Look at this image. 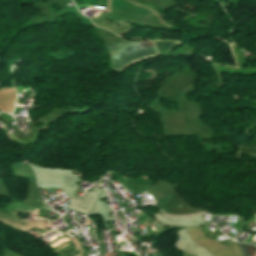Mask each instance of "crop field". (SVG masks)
I'll return each mask as SVG.
<instances>
[{
  "label": "crop field",
  "mask_w": 256,
  "mask_h": 256,
  "mask_svg": "<svg viewBox=\"0 0 256 256\" xmlns=\"http://www.w3.org/2000/svg\"><path fill=\"white\" fill-rule=\"evenodd\" d=\"M238 245H239L241 251L244 253V255H249L251 253L256 252L255 246L245 245V244H241V243H238Z\"/></svg>",
  "instance_id": "crop-field-3"
},
{
  "label": "crop field",
  "mask_w": 256,
  "mask_h": 256,
  "mask_svg": "<svg viewBox=\"0 0 256 256\" xmlns=\"http://www.w3.org/2000/svg\"><path fill=\"white\" fill-rule=\"evenodd\" d=\"M154 42L158 50L162 54L166 53L167 51H169L170 49H172L173 47L181 43V42L171 41V40H163V41L156 40Z\"/></svg>",
  "instance_id": "crop-field-2"
},
{
  "label": "crop field",
  "mask_w": 256,
  "mask_h": 256,
  "mask_svg": "<svg viewBox=\"0 0 256 256\" xmlns=\"http://www.w3.org/2000/svg\"><path fill=\"white\" fill-rule=\"evenodd\" d=\"M106 47L110 54L112 69L121 72L140 60L161 55L153 42L147 40H128Z\"/></svg>",
  "instance_id": "crop-field-1"
}]
</instances>
